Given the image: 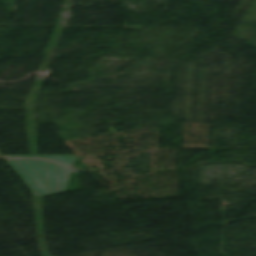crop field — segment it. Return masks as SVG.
<instances>
[{"mask_svg":"<svg viewBox=\"0 0 256 256\" xmlns=\"http://www.w3.org/2000/svg\"><path fill=\"white\" fill-rule=\"evenodd\" d=\"M35 196L63 193L72 169L41 160H8ZM40 192L39 195L35 194Z\"/></svg>","mask_w":256,"mask_h":256,"instance_id":"1","label":"crop field"},{"mask_svg":"<svg viewBox=\"0 0 256 256\" xmlns=\"http://www.w3.org/2000/svg\"><path fill=\"white\" fill-rule=\"evenodd\" d=\"M4 157H38L44 159H51L59 163L72 166L78 159L77 156H4Z\"/></svg>","mask_w":256,"mask_h":256,"instance_id":"2","label":"crop field"},{"mask_svg":"<svg viewBox=\"0 0 256 256\" xmlns=\"http://www.w3.org/2000/svg\"><path fill=\"white\" fill-rule=\"evenodd\" d=\"M0 157H3V156L0 154Z\"/></svg>","mask_w":256,"mask_h":256,"instance_id":"3","label":"crop field"}]
</instances>
